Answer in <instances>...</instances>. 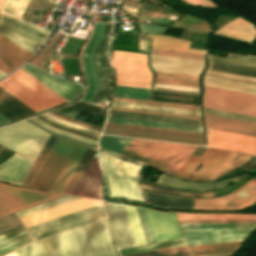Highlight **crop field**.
Here are the masks:
<instances>
[{"label": "crop field", "instance_id": "obj_1", "mask_svg": "<svg viewBox=\"0 0 256 256\" xmlns=\"http://www.w3.org/2000/svg\"><path fill=\"white\" fill-rule=\"evenodd\" d=\"M195 147L133 139L120 156L173 174Z\"/></svg>", "mask_w": 256, "mask_h": 256}, {"label": "crop field", "instance_id": "obj_2", "mask_svg": "<svg viewBox=\"0 0 256 256\" xmlns=\"http://www.w3.org/2000/svg\"><path fill=\"white\" fill-rule=\"evenodd\" d=\"M0 87L35 112L66 102L21 68L2 80Z\"/></svg>", "mask_w": 256, "mask_h": 256}, {"label": "crop field", "instance_id": "obj_3", "mask_svg": "<svg viewBox=\"0 0 256 256\" xmlns=\"http://www.w3.org/2000/svg\"><path fill=\"white\" fill-rule=\"evenodd\" d=\"M100 160L110 197H123L143 202L135 179L140 166L101 151Z\"/></svg>", "mask_w": 256, "mask_h": 256}, {"label": "crop field", "instance_id": "obj_4", "mask_svg": "<svg viewBox=\"0 0 256 256\" xmlns=\"http://www.w3.org/2000/svg\"><path fill=\"white\" fill-rule=\"evenodd\" d=\"M49 134L21 121L0 128V143L34 161Z\"/></svg>", "mask_w": 256, "mask_h": 256}, {"label": "crop field", "instance_id": "obj_5", "mask_svg": "<svg viewBox=\"0 0 256 256\" xmlns=\"http://www.w3.org/2000/svg\"><path fill=\"white\" fill-rule=\"evenodd\" d=\"M103 134L203 145L202 133L106 122Z\"/></svg>", "mask_w": 256, "mask_h": 256}, {"label": "crop field", "instance_id": "obj_6", "mask_svg": "<svg viewBox=\"0 0 256 256\" xmlns=\"http://www.w3.org/2000/svg\"><path fill=\"white\" fill-rule=\"evenodd\" d=\"M116 85L150 88L153 76L147 55L113 51Z\"/></svg>", "mask_w": 256, "mask_h": 256}, {"label": "crop field", "instance_id": "obj_7", "mask_svg": "<svg viewBox=\"0 0 256 256\" xmlns=\"http://www.w3.org/2000/svg\"><path fill=\"white\" fill-rule=\"evenodd\" d=\"M205 87L204 107L256 116V95Z\"/></svg>", "mask_w": 256, "mask_h": 256}, {"label": "crop field", "instance_id": "obj_8", "mask_svg": "<svg viewBox=\"0 0 256 256\" xmlns=\"http://www.w3.org/2000/svg\"><path fill=\"white\" fill-rule=\"evenodd\" d=\"M139 208L136 209L147 244L182 238L174 213H164L143 208L152 238L151 242L143 210Z\"/></svg>", "mask_w": 256, "mask_h": 256}, {"label": "crop field", "instance_id": "obj_9", "mask_svg": "<svg viewBox=\"0 0 256 256\" xmlns=\"http://www.w3.org/2000/svg\"><path fill=\"white\" fill-rule=\"evenodd\" d=\"M63 195L40 192L0 183V217Z\"/></svg>", "mask_w": 256, "mask_h": 256}, {"label": "crop field", "instance_id": "obj_10", "mask_svg": "<svg viewBox=\"0 0 256 256\" xmlns=\"http://www.w3.org/2000/svg\"><path fill=\"white\" fill-rule=\"evenodd\" d=\"M76 143L58 138L31 186L50 190Z\"/></svg>", "mask_w": 256, "mask_h": 256}, {"label": "crop field", "instance_id": "obj_11", "mask_svg": "<svg viewBox=\"0 0 256 256\" xmlns=\"http://www.w3.org/2000/svg\"><path fill=\"white\" fill-rule=\"evenodd\" d=\"M103 206L98 205L86 210H82L46 223H42L30 228H27L28 232L34 239L47 236L59 231H63L78 225H82L94 220L104 218Z\"/></svg>", "mask_w": 256, "mask_h": 256}, {"label": "crop field", "instance_id": "obj_12", "mask_svg": "<svg viewBox=\"0 0 256 256\" xmlns=\"http://www.w3.org/2000/svg\"><path fill=\"white\" fill-rule=\"evenodd\" d=\"M79 228L88 256H117L106 219Z\"/></svg>", "mask_w": 256, "mask_h": 256}, {"label": "crop field", "instance_id": "obj_13", "mask_svg": "<svg viewBox=\"0 0 256 256\" xmlns=\"http://www.w3.org/2000/svg\"><path fill=\"white\" fill-rule=\"evenodd\" d=\"M229 153L228 151L209 148L201 158L190 154L174 175L184 179L206 180ZM199 163L204 165L196 173L194 169Z\"/></svg>", "mask_w": 256, "mask_h": 256}, {"label": "crop field", "instance_id": "obj_14", "mask_svg": "<svg viewBox=\"0 0 256 256\" xmlns=\"http://www.w3.org/2000/svg\"><path fill=\"white\" fill-rule=\"evenodd\" d=\"M256 199V180L251 179L233 193L215 199H196L195 209H236Z\"/></svg>", "mask_w": 256, "mask_h": 256}, {"label": "crop field", "instance_id": "obj_15", "mask_svg": "<svg viewBox=\"0 0 256 256\" xmlns=\"http://www.w3.org/2000/svg\"><path fill=\"white\" fill-rule=\"evenodd\" d=\"M101 203V200L80 198L30 215L20 217V220L23 222L25 228H27Z\"/></svg>", "mask_w": 256, "mask_h": 256}, {"label": "crop field", "instance_id": "obj_16", "mask_svg": "<svg viewBox=\"0 0 256 256\" xmlns=\"http://www.w3.org/2000/svg\"><path fill=\"white\" fill-rule=\"evenodd\" d=\"M18 256H73L65 233H60L16 250Z\"/></svg>", "mask_w": 256, "mask_h": 256}, {"label": "crop field", "instance_id": "obj_17", "mask_svg": "<svg viewBox=\"0 0 256 256\" xmlns=\"http://www.w3.org/2000/svg\"><path fill=\"white\" fill-rule=\"evenodd\" d=\"M208 145L256 155V138L206 128Z\"/></svg>", "mask_w": 256, "mask_h": 256}, {"label": "crop field", "instance_id": "obj_18", "mask_svg": "<svg viewBox=\"0 0 256 256\" xmlns=\"http://www.w3.org/2000/svg\"><path fill=\"white\" fill-rule=\"evenodd\" d=\"M254 229L182 232L187 246L244 241Z\"/></svg>", "mask_w": 256, "mask_h": 256}, {"label": "crop field", "instance_id": "obj_19", "mask_svg": "<svg viewBox=\"0 0 256 256\" xmlns=\"http://www.w3.org/2000/svg\"><path fill=\"white\" fill-rule=\"evenodd\" d=\"M110 224L118 248L136 246L125 213L120 203L105 202Z\"/></svg>", "mask_w": 256, "mask_h": 256}, {"label": "crop field", "instance_id": "obj_20", "mask_svg": "<svg viewBox=\"0 0 256 256\" xmlns=\"http://www.w3.org/2000/svg\"><path fill=\"white\" fill-rule=\"evenodd\" d=\"M21 68L33 75L35 78L40 80L42 83L47 85L49 88L57 92L68 101L77 98V96L80 95L82 91V86L48 74L30 64H27Z\"/></svg>", "mask_w": 256, "mask_h": 256}, {"label": "crop field", "instance_id": "obj_21", "mask_svg": "<svg viewBox=\"0 0 256 256\" xmlns=\"http://www.w3.org/2000/svg\"><path fill=\"white\" fill-rule=\"evenodd\" d=\"M104 23L95 22L94 34L84 52L83 63L85 67V72L88 80V89L86 95L82 100L90 102L93 96L97 92L98 82L96 77V71L93 61L94 51L98 45V42L102 36Z\"/></svg>", "mask_w": 256, "mask_h": 256}, {"label": "crop field", "instance_id": "obj_22", "mask_svg": "<svg viewBox=\"0 0 256 256\" xmlns=\"http://www.w3.org/2000/svg\"><path fill=\"white\" fill-rule=\"evenodd\" d=\"M101 177L102 174L95 154L72 194L101 199Z\"/></svg>", "mask_w": 256, "mask_h": 256}, {"label": "crop field", "instance_id": "obj_23", "mask_svg": "<svg viewBox=\"0 0 256 256\" xmlns=\"http://www.w3.org/2000/svg\"><path fill=\"white\" fill-rule=\"evenodd\" d=\"M151 56L153 69L158 71L199 75L204 65V61L200 60Z\"/></svg>", "mask_w": 256, "mask_h": 256}, {"label": "crop field", "instance_id": "obj_24", "mask_svg": "<svg viewBox=\"0 0 256 256\" xmlns=\"http://www.w3.org/2000/svg\"><path fill=\"white\" fill-rule=\"evenodd\" d=\"M206 127L256 137V123L205 114Z\"/></svg>", "mask_w": 256, "mask_h": 256}, {"label": "crop field", "instance_id": "obj_25", "mask_svg": "<svg viewBox=\"0 0 256 256\" xmlns=\"http://www.w3.org/2000/svg\"><path fill=\"white\" fill-rule=\"evenodd\" d=\"M32 162L14 154L0 165V179L21 183Z\"/></svg>", "mask_w": 256, "mask_h": 256}, {"label": "crop field", "instance_id": "obj_26", "mask_svg": "<svg viewBox=\"0 0 256 256\" xmlns=\"http://www.w3.org/2000/svg\"><path fill=\"white\" fill-rule=\"evenodd\" d=\"M240 17L226 25L219 31L218 35L252 43L256 36V27Z\"/></svg>", "mask_w": 256, "mask_h": 256}, {"label": "crop field", "instance_id": "obj_27", "mask_svg": "<svg viewBox=\"0 0 256 256\" xmlns=\"http://www.w3.org/2000/svg\"><path fill=\"white\" fill-rule=\"evenodd\" d=\"M108 116L201 127V121L196 119L177 118L113 110H109Z\"/></svg>", "mask_w": 256, "mask_h": 256}, {"label": "crop field", "instance_id": "obj_28", "mask_svg": "<svg viewBox=\"0 0 256 256\" xmlns=\"http://www.w3.org/2000/svg\"><path fill=\"white\" fill-rule=\"evenodd\" d=\"M34 111V110H33ZM31 109L19 102L13 96L0 88V114L11 120L34 113Z\"/></svg>", "mask_w": 256, "mask_h": 256}, {"label": "crop field", "instance_id": "obj_29", "mask_svg": "<svg viewBox=\"0 0 256 256\" xmlns=\"http://www.w3.org/2000/svg\"><path fill=\"white\" fill-rule=\"evenodd\" d=\"M1 18L5 19V20H7V21H9V22L21 27V28H24V29H26V30L44 38V39L50 34V31H48V30L42 29L40 27L31 25V24H28V23H25L23 21L11 18V17L3 15V14H1V16H0V21H1ZM3 19L1 21L2 24L6 25V26H8V27H10V28H12V29H14V30H16V31H18V32L36 40V41H38V42H40L42 40V38L28 32L24 29H21V28L15 26V25H13V24H11V23L3 20ZM44 39L41 41V43L44 41Z\"/></svg>", "mask_w": 256, "mask_h": 256}, {"label": "crop field", "instance_id": "obj_30", "mask_svg": "<svg viewBox=\"0 0 256 256\" xmlns=\"http://www.w3.org/2000/svg\"><path fill=\"white\" fill-rule=\"evenodd\" d=\"M86 146L77 144L67 163L65 164L63 170L52 186L51 190L61 193L63 187L65 186L67 180L69 179L71 173L76 167L78 161L80 160L82 154L84 153Z\"/></svg>", "mask_w": 256, "mask_h": 256}, {"label": "crop field", "instance_id": "obj_31", "mask_svg": "<svg viewBox=\"0 0 256 256\" xmlns=\"http://www.w3.org/2000/svg\"><path fill=\"white\" fill-rule=\"evenodd\" d=\"M204 84L207 86L256 94V84L241 81H235L206 75L204 79Z\"/></svg>", "mask_w": 256, "mask_h": 256}, {"label": "crop field", "instance_id": "obj_32", "mask_svg": "<svg viewBox=\"0 0 256 256\" xmlns=\"http://www.w3.org/2000/svg\"><path fill=\"white\" fill-rule=\"evenodd\" d=\"M162 176V173L160 175V177L158 178L157 180V183H160V184H164V183H167L169 185H172V186H175V187H179V188H186V189H203V188H212V187H216V186H221V185H225L233 180H235L234 178H229L227 180H224V181H220V182H217V183H212V184H199V183H189V182H183V181H180L178 179H175V178H172L170 176H167V175H163L162 179H161V182H164V183H161L159 182L160 178ZM236 181V180H235ZM233 181V182H235ZM231 182V183H233ZM167 184H164V185H167ZM230 184V183H229ZM167 185V186H169ZM228 185V184H227ZM170 186V187H172ZM226 186V185H225ZM175 187H172L174 189H178V190H185V191H206V190H214V189H218V188H221V187H217V188H212V189H204V190H186V189H179V188H175Z\"/></svg>", "mask_w": 256, "mask_h": 256}, {"label": "crop field", "instance_id": "obj_33", "mask_svg": "<svg viewBox=\"0 0 256 256\" xmlns=\"http://www.w3.org/2000/svg\"><path fill=\"white\" fill-rule=\"evenodd\" d=\"M152 38V47L170 50L186 51L204 54L205 51L188 49L190 42L161 35H149Z\"/></svg>", "mask_w": 256, "mask_h": 256}, {"label": "crop field", "instance_id": "obj_34", "mask_svg": "<svg viewBox=\"0 0 256 256\" xmlns=\"http://www.w3.org/2000/svg\"><path fill=\"white\" fill-rule=\"evenodd\" d=\"M111 106L200 117L199 111L112 101Z\"/></svg>", "mask_w": 256, "mask_h": 256}, {"label": "crop field", "instance_id": "obj_35", "mask_svg": "<svg viewBox=\"0 0 256 256\" xmlns=\"http://www.w3.org/2000/svg\"><path fill=\"white\" fill-rule=\"evenodd\" d=\"M251 157L252 155L231 152L207 180L215 179L219 176L225 175L235 170L236 168H238L239 165H241Z\"/></svg>", "mask_w": 256, "mask_h": 256}, {"label": "crop field", "instance_id": "obj_36", "mask_svg": "<svg viewBox=\"0 0 256 256\" xmlns=\"http://www.w3.org/2000/svg\"><path fill=\"white\" fill-rule=\"evenodd\" d=\"M0 35L7 38L8 40L14 42L15 44L21 46L31 53H35L40 43L0 24Z\"/></svg>", "mask_w": 256, "mask_h": 256}, {"label": "crop field", "instance_id": "obj_37", "mask_svg": "<svg viewBox=\"0 0 256 256\" xmlns=\"http://www.w3.org/2000/svg\"><path fill=\"white\" fill-rule=\"evenodd\" d=\"M237 243L188 247L193 256H219L231 254Z\"/></svg>", "mask_w": 256, "mask_h": 256}, {"label": "crop field", "instance_id": "obj_38", "mask_svg": "<svg viewBox=\"0 0 256 256\" xmlns=\"http://www.w3.org/2000/svg\"><path fill=\"white\" fill-rule=\"evenodd\" d=\"M155 73V82L198 87V76L158 71H155Z\"/></svg>", "mask_w": 256, "mask_h": 256}, {"label": "crop field", "instance_id": "obj_39", "mask_svg": "<svg viewBox=\"0 0 256 256\" xmlns=\"http://www.w3.org/2000/svg\"><path fill=\"white\" fill-rule=\"evenodd\" d=\"M138 184L141 189L156 191L160 193H168V194H176L182 196H191V197H214L216 194L214 191L207 192V193H197V192H185V191H177L171 188L161 186L149 181H145L142 179L137 178Z\"/></svg>", "mask_w": 256, "mask_h": 256}, {"label": "crop field", "instance_id": "obj_40", "mask_svg": "<svg viewBox=\"0 0 256 256\" xmlns=\"http://www.w3.org/2000/svg\"><path fill=\"white\" fill-rule=\"evenodd\" d=\"M95 151H96V149L87 147L85 153L83 154L77 167L75 168L74 172L72 173V175H71L70 179L68 180L66 186L64 187L62 193L71 194V192L74 189L75 185L77 184L79 178L81 177L82 173L84 172L85 168L87 167L88 163L90 162L92 156L94 155Z\"/></svg>", "mask_w": 256, "mask_h": 256}, {"label": "crop field", "instance_id": "obj_41", "mask_svg": "<svg viewBox=\"0 0 256 256\" xmlns=\"http://www.w3.org/2000/svg\"><path fill=\"white\" fill-rule=\"evenodd\" d=\"M209 69L256 78V68L211 61Z\"/></svg>", "mask_w": 256, "mask_h": 256}, {"label": "crop field", "instance_id": "obj_42", "mask_svg": "<svg viewBox=\"0 0 256 256\" xmlns=\"http://www.w3.org/2000/svg\"><path fill=\"white\" fill-rule=\"evenodd\" d=\"M24 61L11 51H9L7 48L2 46L0 44V71L3 72L4 74H8L21 64H23Z\"/></svg>", "mask_w": 256, "mask_h": 256}, {"label": "crop field", "instance_id": "obj_43", "mask_svg": "<svg viewBox=\"0 0 256 256\" xmlns=\"http://www.w3.org/2000/svg\"><path fill=\"white\" fill-rule=\"evenodd\" d=\"M177 216H178L179 220L256 219V215H221V214L177 213Z\"/></svg>", "mask_w": 256, "mask_h": 256}, {"label": "crop field", "instance_id": "obj_44", "mask_svg": "<svg viewBox=\"0 0 256 256\" xmlns=\"http://www.w3.org/2000/svg\"><path fill=\"white\" fill-rule=\"evenodd\" d=\"M182 231L255 228L256 223L180 225Z\"/></svg>", "mask_w": 256, "mask_h": 256}, {"label": "crop field", "instance_id": "obj_45", "mask_svg": "<svg viewBox=\"0 0 256 256\" xmlns=\"http://www.w3.org/2000/svg\"><path fill=\"white\" fill-rule=\"evenodd\" d=\"M56 140L57 137L50 136L49 140L47 141L46 145L44 146L43 150L41 151L40 155L33 164L32 168L30 169L22 184L30 185V183L33 181L34 177L36 176L38 170L40 169L41 165L43 164L44 160L46 159Z\"/></svg>", "mask_w": 256, "mask_h": 256}, {"label": "crop field", "instance_id": "obj_46", "mask_svg": "<svg viewBox=\"0 0 256 256\" xmlns=\"http://www.w3.org/2000/svg\"><path fill=\"white\" fill-rule=\"evenodd\" d=\"M132 139L102 135L100 147L119 155Z\"/></svg>", "mask_w": 256, "mask_h": 256}, {"label": "crop field", "instance_id": "obj_47", "mask_svg": "<svg viewBox=\"0 0 256 256\" xmlns=\"http://www.w3.org/2000/svg\"><path fill=\"white\" fill-rule=\"evenodd\" d=\"M135 238L136 245H144L145 239L134 206L124 205Z\"/></svg>", "mask_w": 256, "mask_h": 256}, {"label": "crop field", "instance_id": "obj_48", "mask_svg": "<svg viewBox=\"0 0 256 256\" xmlns=\"http://www.w3.org/2000/svg\"><path fill=\"white\" fill-rule=\"evenodd\" d=\"M107 121L202 132L201 128L108 117Z\"/></svg>", "mask_w": 256, "mask_h": 256}, {"label": "crop field", "instance_id": "obj_49", "mask_svg": "<svg viewBox=\"0 0 256 256\" xmlns=\"http://www.w3.org/2000/svg\"><path fill=\"white\" fill-rule=\"evenodd\" d=\"M66 236L69 241L72 253L74 256H87L79 228H74L66 231Z\"/></svg>", "mask_w": 256, "mask_h": 256}, {"label": "crop field", "instance_id": "obj_50", "mask_svg": "<svg viewBox=\"0 0 256 256\" xmlns=\"http://www.w3.org/2000/svg\"><path fill=\"white\" fill-rule=\"evenodd\" d=\"M27 237H29V234L26 232V230H24V231H22V232H20L16 235H13V236L5 239V240L0 241V251L9 247V246H11V245H13V244H15V243H17V242H19V241H21V240H23V239H25V238H27ZM31 240H33V239L31 237H29V238L15 244V245H13V246L1 251L0 255L6 253L8 251H11V250L29 242V241H31Z\"/></svg>", "mask_w": 256, "mask_h": 256}, {"label": "crop field", "instance_id": "obj_51", "mask_svg": "<svg viewBox=\"0 0 256 256\" xmlns=\"http://www.w3.org/2000/svg\"><path fill=\"white\" fill-rule=\"evenodd\" d=\"M3 2L4 0H0V7ZM28 2L29 0H6L0 12L19 18Z\"/></svg>", "mask_w": 256, "mask_h": 256}, {"label": "crop field", "instance_id": "obj_52", "mask_svg": "<svg viewBox=\"0 0 256 256\" xmlns=\"http://www.w3.org/2000/svg\"><path fill=\"white\" fill-rule=\"evenodd\" d=\"M188 255H190V253L187 250L186 246H182V247L130 254V255H124V256H188Z\"/></svg>", "mask_w": 256, "mask_h": 256}, {"label": "crop field", "instance_id": "obj_53", "mask_svg": "<svg viewBox=\"0 0 256 256\" xmlns=\"http://www.w3.org/2000/svg\"><path fill=\"white\" fill-rule=\"evenodd\" d=\"M209 59L222 62L234 63L250 67H256V58L228 53L226 58L209 55Z\"/></svg>", "mask_w": 256, "mask_h": 256}, {"label": "crop field", "instance_id": "obj_54", "mask_svg": "<svg viewBox=\"0 0 256 256\" xmlns=\"http://www.w3.org/2000/svg\"><path fill=\"white\" fill-rule=\"evenodd\" d=\"M185 245L182 240L119 250L121 255Z\"/></svg>", "mask_w": 256, "mask_h": 256}, {"label": "crop field", "instance_id": "obj_55", "mask_svg": "<svg viewBox=\"0 0 256 256\" xmlns=\"http://www.w3.org/2000/svg\"><path fill=\"white\" fill-rule=\"evenodd\" d=\"M114 95L150 99V89L116 86Z\"/></svg>", "mask_w": 256, "mask_h": 256}, {"label": "crop field", "instance_id": "obj_56", "mask_svg": "<svg viewBox=\"0 0 256 256\" xmlns=\"http://www.w3.org/2000/svg\"><path fill=\"white\" fill-rule=\"evenodd\" d=\"M112 100L199 110V106L113 96Z\"/></svg>", "mask_w": 256, "mask_h": 256}, {"label": "crop field", "instance_id": "obj_57", "mask_svg": "<svg viewBox=\"0 0 256 256\" xmlns=\"http://www.w3.org/2000/svg\"><path fill=\"white\" fill-rule=\"evenodd\" d=\"M77 198L78 197L65 196V197L55 199V200H52V201H49V202H46V203H43V204H39V205L30 207V208H27V209H24V210L17 211L15 213L17 214L18 217H20V216L30 214V213H33V212H36V211H39V210H42V209H45V208H48V207H52V206H55V205H58V204H61V203H64V202H67V201H70V200L77 199Z\"/></svg>", "mask_w": 256, "mask_h": 256}, {"label": "crop field", "instance_id": "obj_58", "mask_svg": "<svg viewBox=\"0 0 256 256\" xmlns=\"http://www.w3.org/2000/svg\"><path fill=\"white\" fill-rule=\"evenodd\" d=\"M151 54L204 60V55L201 54L177 52L154 48H151Z\"/></svg>", "mask_w": 256, "mask_h": 256}, {"label": "crop field", "instance_id": "obj_59", "mask_svg": "<svg viewBox=\"0 0 256 256\" xmlns=\"http://www.w3.org/2000/svg\"><path fill=\"white\" fill-rule=\"evenodd\" d=\"M63 36L64 34L57 32L56 35L51 39V41L46 45V47L31 61V63L38 66Z\"/></svg>", "mask_w": 256, "mask_h": 256}, {"label": "crop field", "instance_id": "obj_60", "mask_svg": "<svg viewBox=\"0 0 256 256\" xmlns=\"http://www.w3.org/2000/svg\"><path fill=\"white\" fill-rule=\"evenodd\" d=\"M44 115H46V116H48V117H50V118H52V119H54V120H56V121H58L60 123H64V124H67V125H70V126H74V127L80 128V129H84V130H87V131H90V132H94V133H97V134L99 133L98 131H95V130H92V129H88V128H85V127H82V126H79V125H76V124H73V123H70V122H66V121L60 120V119H58V118H56V117H54V116H52V115H50L48 113H45ZM44 115L41 114L39 116H41V117H43V118H45V119H47V120L57 124V125L64 126V127H67V128L73 129V130H77V131H80V132H83V133H86V134H89V135H93V136H96V137L98 136L97 134H93V133H90V132H87V131H83V130H80V129H77V128H73V127H70V126H67V125H63V124L57 123V122H55V121L45 117Z\"/></svg>", "mask_w": 256, "mask_h": 256}, {"label": "crop field", "instance_id": "obj_61", "mask_svg": "<svg viewBox=\"0 0 256 256\" xmlns=\"http://www.w3.org/2000/svg\"><path fill=\"white\" fill-rule=\"evenodd\" d=\"M0 43L26 61L33 55L22 49L21 47L15 45L14 43L8 41L7 39L3 38L2 36H0Z\"/></svg>", "mask_w": 256, "mask_h": 256}, {"label": "crop field", "instance_id": "obj_62", "mask_svg": "<svg viewBox=\"0 0 256 256\" xmlns=\"http://www.w3.org/2000/svg\"><path fill=\"white\" fill-rule=\"evenodd\" d=\"M256 222V220H222V221H179L180 224H200V223H240Z\"/></svg>", "mask_w": 256, "mask_h": 256}, {"label": "crop field", "instance_id": "obj_63", "mask_svg": "<svg viewBox=\"0 0 256 256\" xmlns=\"http://www.w3.org/2000/svg\"><path fill=\"white\" fill-rule=\"evenodd\" d=\"M50 114L60 118V119H63V120H66V121H70V122H73V123H76V124H79V125H82V126H85V127H88V128H92V129H95V130H100V127H97V126H94V125H90V124H87V123H84V122H81V121H78V120H75V119H72V118H68V117H65V116H62L54 111L52 112H49Z\"/></svg>", "mask_w": 256, "mask_h": 256}, {"label": "crop field", "instance_id": "obj_64", "mask_svg": "<svg viewBox=\"0 0 256 256\" xmlns=\"http://www.w3.org/2000/svg\"><path fill=\"white\" fill-rule=\"evenodd\" d=\"M33 119H35L36 121L42 123L43 125L47 126L48 128L54 130V131H57V132H60V133H64V134H67V135H70V136H73V137H76V138H79V139H82V140H86V141H89V142H92V143H95L96 144V141L95 140H92V139H88V138H85V137H82V136H79V135H75V134H72V133H69V132H66V131H63V130H59V129H56L46 123H44L43 121L35 118V117H32Z\"/></svg>", "mask_w": 256, "mask_h": 256}, {"label": "crop field", "instance_id": "obj_65", "mask_svg": "<svg viewBox=\"0 0 256 256\" xmlns=\"http://www.w3.org/2000/svg\"><path fill=\"white\" fill-rule=\"evenodd\" d=\"M207 73L256 82V79H254V78L243 77V76H238V75H233V74H227V73H222V72H217V71L208 70Z\"/></svg>", "mask_w": 256, "mask_h": 256}, {"label": "crop field", "instance_id": "obj_66", "mask_svg": "<svg viewBox=\"0 0 256 256\" xmlns=\"http://www.w3.org/2000/svg\"><path fill=\"white\" fill-rule=\"evenodd\" d=\"M109 109L122 110V111H132V112H141V113H150V114H159V115H168V116L187 117V118H196V117H188V116H180V115H172V114H163V113H155V112H147V111H138V110H130V109H122V108H114V107H110ZM196 119H200V118H196Z\"/></svg>", "mask_w": 256, "mask_h": 256}, {"label": "crop field", "instance_id": "obj_67", "mask_svg": "<svg viewBox=\"0 0 256 256\" xmlns=\"http://www.w3.org/2000/svg\"><path fill=\"white\" fill-rule=\"evenodd\" d=\"M36 117L41 119V120H43V121H45L46 123H48V124H50V125H52L54 127H56V128L63 129V130H66V131H69V132H72V133H76V134H79V135H82V136H85V137H88V138H92V139H95V140L97 139L96 137H93V136H89V135H86V134H83V133H80V132H76V131H73V130H70V129H67V128H64V127L57 126V125H55V124H53V123H51V122H49V121L39 117V116H36Z\"/></svg>", "mask_w": 256, "mask_h": 256}, {"label": "crop field", "instance_id": "obj_68", "mask_svg": "<svg viewBox=\"0 0 256 256\" xmlns=\"http://www.w3.org/2000/svg\"><path fill=\"white\" fill-rule=\"evenodd\" d=\"M22 230H24V228L20 225V226H18V227H16V228L12 229V230H10V231H7V232L1 234V235H0V240L4 239V238H6V237H9V236H11V235H13V234H15V233H18V232H20V231H22Z\"/></svg>", "mask_w": 256, "mask_h": 256}, {"label": "crop field", "instance_id": "obj_69", "mask_svg": "<svg viewBox=\"0 0 256 256\" xmlns=\"http://www.w3.org/2000/svg\"><path fill=\"white\" fill-rule=\"evenodd\" d=\"M27 120H29V121H31V122H33V123H35V124H37V125H39V126H41V127L45 128V129H47V130H49V131H51V132H53V133H56V134H59V135H62V136H65V137H68V138H71V139H75V140H78V141H81V142H84V143H87V144H90V145L96 146L95 144H92V143H89V142H85V141H82V140H79V139H76V138H73V137H70V136H67V135H63V134H60V133L54 132V131H52V130L48 129L47 127H45V126L41 125L40 123L36 122L35 120H33V119H31V118H29V119H27ZM51 132H50V133H51ZM96 147H97V146H96Z\"/></svg>", "mask_w": 256, "mask_h": 256}, {"label": "crop field", "instance_id": "obj_70", "mask_svg": "<svg viewBox=\"0 0 256 256\" xmlns=\"http://www.w3.org/2000/svg\"><path fill=\"white\" fill-rule=\"evenodd\" d=\"M123 5L137 9V10L140 9V7H141L140 3H137V2H134L131 0H125Z\"/></svg>", "mask_w": 256, "mask_h": 256}, {"label": "crop field", "instance_id": "obj_71", "mask_svg": "<svg viewBox=\"0 0 256 256\" xmlns=\"http://www.w3.org/2000/svg\"><path fill=\"white\" fill-rule=\"evenodd\" d=\"M145 41H139V49L144 51ZM149 41H146L145 51H148Z\"/></svg>", "mask_w": 256, "mask_h": 256}, {"label": "crop field", "instance_id": "obj_72", "mask_svg": "<svg viewBox=\"0 0 256 256\" xmlns=\"http://www.w3.org/2000/svg\"><path fill=\"white\" fill-rule=\"evenodd\" d=\"M9 149H7V148H5V147H3V146H1L0 145V157L5 153V152H7Z\"/></svg>", "mask_w": 256, "mask_h": 256}, {"label": "crop field", "instance_id": "obj_73", "mask_svg": "<svg viewBox=\"0 0 256 256\" xmlns=\"http://www.w3.org/2000/svg\"><path fill=\"white\" fill-rule=\"evenodd\" d=\"M139 40H148V36H147V35L140 34Z\"/></svg>", "mask_w": 256, "mask_h": 256}, {"label": "crop field", "instance_id": "obj_74", "mask_svg": "<svg viewBox=\"0 0 256 256\" xmlns=\"http://www.w3.org/2000/svg\"><path fill=\"white\" fill-rule=\"evenodd\" d=\"M5 121H8V120L0 115V123L5 122Z\"/></svg>", "mask_w": 256, "mask_h": 256}, {"label": "crop field", "instance_id": "obj_75", "mask_svg": "<svg viewBox=\"0 0 256 256\" xmlns=\"http://www.w3.org/2000/svg\"><path fill=\"white\" fill-rule=\"evenodd\" d=\"M127 10H129V11H132V12H134V13H137L138 14V11L137 10H134V9H131V8H128V7H125Z\"/></svg>", "mask_w": 256, "mask_h": 256}, {"label": "crop field", "instance_id": "obj_76", "mask_svg": "<svg viewBox=\"0 0 256 256\" xmlns=\"http://www.w3.org/2000/svg\"><path fill=\"white\" fill-rule=\"evenodd\" d=\"M6 75H4L3 73L0 72V78L4 77Z\"/></svg>", "mask_w": 256, "mask_h": 256}]
</instances>
